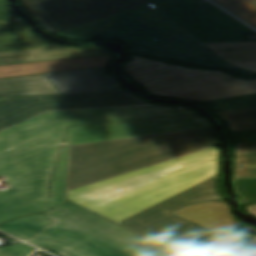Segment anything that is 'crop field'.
<instances>
[{
	"mask_svg": "<svg viewBox=\"0 0 256 256\" xmlns=\"http://www.w3.org/2000/svg\"><path fill=\"white\" fill-rule=\"evenodd\" d=\"M153 5L202 43L245 41L243 33H255L207 2Z\"/></svg>",
	"mask_w": 256,
	"mask_h": 256,
	"instance_id": "crop-field-11",
	"label": "crop field"
},
{
	"mask_svg": "<svg viewBox=\"0 0 256 256\" xmlns=\"http://www.w3.org/2000/svg\"><path fill=\"white\" fill-rule=\"evenodd\" d=\"M3 99L4 102H0V131L48 110L151 104L130 92Z\"/></svg>",
	"mask_w": 256,
	"mask_h": 256,
	"instance_id": "crop-field-8",
	"label": "crop field"
},
{
	"mask_svg": "<svg viewBox=\"0 0 256 256\" xmlns=\"http://www.w3.org/2000/svg\"><path fill=\"white\" fill-rule=\"evenodd\" d=\"M196 115L166 105L48 111L0 132V223L50 209L49 184L68 127Z\"/></svg>",
	"mask_w": 256,
	"mask_h": 256,
	"instance_id": "crop-field-1",
	"label": "crop field"
},
{
	"mask_svg": "<svg viewBox=\"0 0 256 256\" xmlns=\"http://www.w3.org/2000/svg\"><path fill=\"white\" fill-rule=\"evenodd\" d=\"M52 222L47 215L40 213L17 218L0 226V230L26 241Z\"/></svg>",
	"mask_w": 256,
	"mask_h": 256,
	"instance_id": "crop-field-21",
	"label": "crop field"
},
{
	"mask_svg": "<svg viewBox=\"0 0 256 256\" xmlns=\"http://www.w3.org/2000/svg\"><path fill=\"white\" fill-rule=\"evenodd\" d=\"M217 145L214 128L74 145L66 191Z\"/></svg>",
	"mask_w": 256,
	"mask_h": 256,
	"instance_id": "crop-field-3",
	"label": "crop field"
},
{
	"mask_svg": "<svg viewBox=\"0 0 256 256\" xmlns=\"http://www.w3.org/2000/svg\"><path fill=\"white\" fill-rule=\"evenodd\" d=\"M218 179L216 176L119 224L163 244L189 223L172 212L193 203L224 200L217 190Z\"/></svg>",
	"mask_w": 256,
	"mask_h": 256,
	"instance_id": "crop-field-10",
	"label": "crop field"
},
{
	"mask_svg": "<svg viewBox=\"0 0 256 256\" xmlns=\"http://www.w3.org/2000/svg\"><path fill=\"white\" fill-rule=\"evenodd\" d=\"M225 256H256V237Z\"/></svg>",
	"mask_w": 256,
	"mask_h": 256,
	"instance_id": "crop-field-29",
	"label": "crop field"
},
{
	"mask_svg": "<svg viewBox=\"0 0 256 256\" xmlns=\"http://www.w3.org/2000/svg\"><path fill=\"white\" fill-rule=\"evenodd\" d=\"M232 131L256 130V121L227 123Z\"/></svg>",
	"mask_w": 256,
	"mask_h": 256,
	"instance_id": "crop-field-30",
	"label": "crop field"
},
{
	"mask_svg": "<svg viewBox=\"0 0 256 256\" xmlns=\"http://www.w3.org/2000/svg\"><path fill=\"white\" fill-rule=\"evenodd\" d=\"M252 236L241 232L234 235L225 232L218 242L197 241L186 245L185 250L193 256H221Z\"/></svg>",
	"mask_w": 256,
	"mask_h": 256,
	"instance_id": "crop-field-20",
	"label": "crop field"
},
{
	"mask_svg": "<svg viewBox=\"0 0 256 256\" xmlns=\"http://www.w3.org/2000/svg\"><path fill=\"white\" fill-rule=\"evenodd\" d=\"M234 159L244 165L236 169L235 177L256 176V143H235Z\"/></svg>",
	"mask_w": 256,
	"mask_h": 256,
	"instance_id": "crop-field-22",
	"label": "crop field"
},
{
	"mask_svg": "<svg viewBox=\"0 0 256 256\" xmlns=\"http://www.w3.org/2000/svg\"><path fill=\"white\" fill-rule=\"evenodd\" d=\"M241 18L256 26V0H215Z\"/></svg>",
	"mask_w": 256,
	"mask_h": 256,
	"instance_id": "crop-field-24",
	"label": "crop field"
},
{
	"mask_svg": "<svg viewBox=\"0 0 256 256\" xmlns=\"http://www.w3.org/2000/svg\"><path fill=\"white\" fill-rule=\"evenodd\" d=\"M149 2H161V1H202V0H148Z\"/></svg>",
	"mask_w": 256,
	"mask_h": 256,
	"instance_id": "crop-field-31",
	"label": "crop field"
},
{
	"mask_svg": "<svg viewBox=\"0 0 256 256\" xmlns=\"http://www.w3.org/2000/svg\"><path fill=\"white\" fill-rule=\"evenodd\" d=\"M0 0V65L109 54L102 48L76 49L37 38Z\"/></svg>",
	"mask_w": 256,
	"mask_h": 256,
	"instance_id": "crop-field-7",
	"label": "crop field"
},
{
	"mask_svg": "<svg viewBox=\"0 0 256 256\" xmlns=\"http://www.w3.org/2000/svg\"><path fill=\"white\" fill-rule=\"evenodd\" d=\"M200 104L212 109L213 111L256 107V94L200 102Z\"/></svg>",
	"mask_w": 256,
	"mask_h": 256,
	"instance_id": "crop-field-23",
	"label": "crop field"
},
{
	"mask_svg": "<svg viewBox=\"0 0 256 256\" xmlns=\"http://www.w3.org/2000/svg\"><path fill=\"white\" fill-rule=\"evenodd\" d=\"M227 122L256 120V108L216 112Z\"/></svg>",
	"mask_w": 256,
	"mask_h": 256,
	"instance_id": "crop-field-26",
	"label": "crop field"
},
{
	"mask_svg": "<svg viewBox=\"0 0 256 256\" xmlns=\"http://www.w3.org/2000/svg\"><path fill=\"white\" fill-rule=\"evenodd\" d=\"M55 222L27 242L62 256H168L169 250L69 202L46 212Z\"/></svg>",
	"mask_w": 256,
	"mask_h": 256,
	"instance_id": "crop-field-4",
	"label": "crop field"
},
{
	"mask_svg": "<svg viewBox=\"0 0 256 256\" xmlns=\"http://www.w3.org/2000/svg\"><path fill=\"white\" fill-rule=\"evenodd\" d=\"M256 93V79H236L226 73L194 78L192 82L152 92L175 99L200 102L237 95Z\"/></svg>",
	"mask_w": 256,
	"mask_h": 256,
	"instance_id": "crop-field-12",
	"label": "crop field"
},
{
	"mask_svg": "<svg viewBox=\"0 0 256 256\" xmlns=\"http://www.w3.org/2000/svg\"><path fill=\"white\" fill-rule=\"evenodd\" d=\"M153 27L124 18L112 23L99 36V39L118 40L137 53L163 58L170 57L180 62L197 63L244 75L254 74L246 70L235 69L215 52L206 51L208 48L191 34L169 39ZM154 38L158 40L155 41Z\"/></svg>",
	"mask_w": 256,
	"mask_h": 256,
	"instance_id": "crop-field-6",
	"label": "crop field"
},
{
	"mask_svg": "<svg viewBox=\"0 0 256 256\" xmlns=\"http://www.w3.org/2000/svg\"><path fill=\"white\" fill-rule=\"evenodd\" d=\"M218 174L217 146L69 191L68 200L119 223Z\"/></svg>",
	"mask_w": 256,
	"mask_h": 256,
	"instance_id": "crop-field-2",
	"label": "crop field"
},
{
	"mask_svg": "<svg viewBox=\"0 0 256 256\" xmlns=\"http://www.w3.org/2000/svg\"><path fill=\"white\" fill-rule=\"evenodd\" d=\"M207 46L236 67L256 72V43L207 44ZM226 49L235 51L223 52Z\"/></svg>",
	"mask_w": 256,
	"mask_h": 256,
	"instance_id": "crop-field-19",
	"label": "crop field"
},
{
	"mask_svg": "<svg viewBox=\"0 0 256 256\" xmlns=\"http://www.w3.org/2000/svg\"><path fill=\"white\" fill-rule=\"evenodd\" d=\"M51 34L129 9L146 0H20Z\"/></svg>",
	"mask_w": 256,
	"mask_h": 256,
	"instance_id": "crop-field-9",
	"label": "crop field"
},
{
	"mask_svg": "<svg viewBox=\"0 0 256 256\" xmlns=\"http://www.w3.org/2000/svg\"><path fill=\"white\" fill-rule=\"evenodd\" d=\"M210 232L194 223H190L184 230H182L175 238H173L166 246L176 249L181 243H184L192 238L207 239L213 236Z\"/></svg>",
	"mask_w": 256,
	"mask_h": 256,
	"instance_id": "crop-field-25",
	"label": "crop field"
},
{
	"mask_svg": "<svg viewBox=\"0 0 256 256\" xmlns=\"http://www.w3.org/2000/svg\"><path fill=\"white\" fill-rule=\"evenodd\" d=\"M50 81L46 76L0 80V101L2 97L61 94Z\"/></svg>",
	"mask_w": 256,
	"mask_h": 256,
	"instance_id": "crop-field-18",
	"label": "crop field"
},
{
	"mask_svg": "<svg viewBox=\"0 0 256 256\" xmlns=\"http://www.w3.org/2000/svg\"><path fill=\"white\" fill-rule=\"evenodd\" d=\"M110 55L0 66V78L106 67Z\"/></svg>",
	"mask_w": 256,
	"mask_h": 256,
	"instance_id": "crop-field-16",
	"label": "crop field"
},
{
	"mask_svg": "<svg viewBox=\"0 0 256 256\" xmlns=\"http://www.w3.org/2000/svg\"><path fill=\"white\" fill-rule=\"evenodd\" d=\"M210 127L203 117L190 116L69 128L50 185L51 208L66 202L64 197L70 145Z\"/></svg>",
	"mask_w": 256,
	"mask_h": 256,
	"instance_id": "crop-field-5",
	"label": "crop field"
},
{
	"mask_svg": "<svg viewBox=\"0 0 256 256\" xmlns=\"http://www.w3.org/2000/svg\"><path fill=\"white\" fill-rule=\"evenodd\" d=\"M34 249L32 246L20 242L0 247V256H27Z\"/></svg>",
	"mask_w": 256,
	"mask_h": 256,
	"instance_id": "crop-field-28",
	"label": "crop field"
},
{
	"mask_svg": "<svg viewBox=\"0 0 256 256\" xmlns=\"http://www.w3.org/2000/svg\"><path fill=\"white\" fill-rule=\"evenodd\" d=\"M174 213L213 232L223 228L237 229V226L242 225L231 215L225 201L193 204Z\"/></svg>",
	"mask_w": 256,
	"mask_h": 256,
	"instance_id": "crop-field-17",
	"label": "crop field"
},
{
	"mask_svg": "<svg viewBox=\"0 0 256 256\" xmlns=\"http://www.w3.org/2000/svg\"><path fill=\"white\" fill-rule=\"evenodd\" d=\"M124 17L154 26L169 38L188 34L186 30L148 3L54 35L70 40H95L113 21Z\"/></svg>",
	"mask_w": 256,
	"mask_h": 256,
	"instance_id": "crop-field-13",
	"label": "crop field"
},
{
	"mask_svg": "<svg viewBox=\"0 0 256 256\" xmlns=\"http://www.w3.org/2000/svg\"><path fill=\"white\" fill-rule=\"evenodd\" d=\"M235 184L242 196L249 198L251 204H256V179H237Z\"/></svg>",
	"mask_w": 256,
	"mask_h": 256,
	"instance_id": "crop-field-27",
	"label": "crop field"
},
{
	"mask_svg": "<svg viewBox=\"0 0 256 256\" xmlns=\"http://www.w3.org/2000/svg\"><path fill=\"white\" fill-rule=\"evenodd\" d=\"M46 76L62 94L125 91L106 68L50 73Z\"/></svg>",
	"mask_w": 256,
	"mask_h": 256,
	"instance_id": "crop-field-15",
	"label": "crop field"
},
{
	"mask_svg": "<svg viewBox=\"0 0 256 256\" xmlns=\"http://www.w3.org/2000/svg\"><path fill=\"white\" fill-rule=\"evenodd\" d=\"M130 56L134 58L133 61L124 64L127 74L142 84L149 92L190 82V78L222 73L188 69L178 65Z\"/></svg>",
	"mask_w": 256,
	"mask_h": 256,
	"instance_id": "crop-field-14",
	"label": "crop field"
}]
</instances>
